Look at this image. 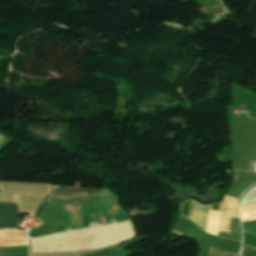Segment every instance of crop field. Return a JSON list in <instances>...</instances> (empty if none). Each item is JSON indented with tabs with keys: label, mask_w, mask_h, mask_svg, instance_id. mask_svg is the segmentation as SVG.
Wrapping results in <instances>:
<instances>
[{
	"label": "crop field",
	"mask_w": 256,
	"mask_h": 256,
	"mask_svg": "<svg viewBox=\"0 0 256 256\" xmlns=\"http://www.w3.org/2000/svg\"><path fill=\"white\" fill-rule=\"evenodd\" d=\"M100 190L53 186L48 201L80 203Z\"/></svg>",
	"instance_id": "obj_1"
},
{
	"label": "crop field",
	"mask_w": 256,
	"mask_h": 256,
	"mask_svg": "<svg viewBox=\"0 0 256 256\" xmlns=\"http://www.w3.org/2000/svg\"><path fill=\"white\" fill-rule=\"evenodd\" d=\"M17 222V205L0 203V228L16 226Z\"/></svg>",
	"instance_id": "obj_2"
},
{
	"label": "crop field",
	"mask_w": 256,
	"mask_h": 256,
	"mask_svg": "<svg viewBox=\"0 0 256 256\" xmlns=\"http://www.w3.org/2000/svg\"><path fill=\"white\" fill-rule=\"evenodd\" d=\"M243 247H244V251H243L244 254L256 256V249L245 246V245Z\"/></svg>",
	"instance_id": "obj_3"
}]
</instances>
